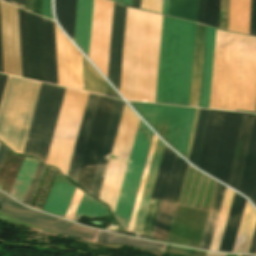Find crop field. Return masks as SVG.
<instances>
[{
	"instance_id": "crop-field-54",
	"label": "crop field",
	"mask_w": 256,
	"mask_h": 256,
	"mask_svg": "<svg viewBox=\"0 0 256 256\" xmlns=\"http://www.w3.org/2000/svg\"><path fill=\"white\" fill-rule=\"evenodd\" d=\"M114 1H117V2H119L121 4L126 5V6H131V1L132 0H114Z\"/></svg>"
},
{
	"instance_id": "crop-field-11",
	"label": "crop field",
	"mask_w": 256,
	"mask_h": 256,
	"mask_svg": "<svg viewBox=\"0 0 256 256\" xmlns=\"http://www.w3.org/2000/svg\"><path fill=\"white\" fill-rule=\"evenodd\" d=\"M113 3L94 0L89 58L106 77Z\"/></svg>"
},
{
	"instance_id": "crop-field-14",
	"label": "crop field",
	"mask_w": 256,
	"mask_h": 256,
	"mask_svg": "<svg viewBox=\"0 0 256 256\" xmlns=\"http://www.w3.org/2000/svg\"><path fill=\"white\" fill-rule=\"evenodd\" d=\"M30 78L46 82L42 18L26 11Z\"/></svg>"
},
{
	"instance_id": "crop-field-43",
	"label": "crop field",
	"mask_w": 256,
	"mask_h": 256,
	"mask_svg": "<svg viewBox=\"0 0 256 256\" xmlns=\"http://www.w3.org/2000/svg\"><path fill=\"white\" fill-rule=\"evenodd\" d=\"M42 0H33L32 12L41 16Z\"/></svg>"
},
{
	"instance_id": "crop-field-13",
	"label": "crop field",
	"mask_w": 256,
	"mask_h": 256,
	"mask_svg": "<svg viewBox=\"0 0 256 256\" xmlns=\"http://www.w3.org/2000/svg\"><path fill=\"white\" fill-rule=\"evenodd\" d=\"M188 164L176 156L154 239L167 242Z\"/></svg>"
},
{
	"instance_id": "crop-field-2",
	"label": "crop field",
	"mask_w": 256,
	"mask_h": 256,
	"mask_svg": "<svg viewBox=\"0 0 256 256\" xmlns=\"http://www.w3.org/2000/svg\"><path fill=\"white\" fill-rule=\"evenodd\" d=\"M195 29L163 16L155 102L188 105Z\"/></svg>"
},
{
	"instance_id": "crop-field-16",
	"label": "crop field",
	"mask_w": 256,
	"mask_h": 256,
	"mask_svg": "<svg viewBox=\"0 0 256 256\" xmlns=\"http://www.w3.org/2000/svg\"><path fill=\"white\" fill-rule=\"evenodd\" d=\"M175 156L176 154L172 150H170L167 146H165L164 154L162 157V161L160 164L159 172L157 175L156 183H155L151 201H150L154 203H159L151 236L154 235V231L156 228V224H157V220H158L161 206L163 203L164 195H165L170 174L172 171ZM154 203L149 204L148 212H147L143 230H142L143 234L150 235L151 233V229H152V225H153V221H154V217H155V213L158 205Z\"/></svg>"
},
{
	"instance_id": "crop-field-48",
	"label": "crop field",
	"mask_w": 256,
	"mask_h": 256,
	"mask_svg": "<svg viewBox=\"0 0 256 256\" xmlns=\"http://www.w3.org/2000/svg\"><path fill=\"white\" fill-rule=\"evenodd\" d=\"M6 75H2L0 74V99H1V96H2V92H3V88H4V85H5V81H6Z\"/></svg>"
},
{
	"instance_id": "crop-field-31",
	"label": "crop field",
	"mask_w": 256,
	"mask_h": 256,
	"mask_svg": "<svg viewBox=\"0 0 256 256\" xmlns=\"http://www.w3.org/2000/svg\"><path fill=\"white\" fill-rule=\"evenodd\" d=\"M96 242L126 244V245H132V246H137L141 248L156 250L162 253L165 252L168 246L164 244L149 243V242H145V241H141L133 238L112 235L102 231H100Z\"/></svg>"
},
{
	"instance_id": "crop-field-6",
	"label": "crop field",
	"mask_w": 256,
	"mask_h": 256,
	"mask_svg": "<svg viewBox=\"0 0 256 256\" xmlns=\"http://www.w3.org/2000/svg\"><path fill=\"white\" fill-rule=\"evenodd\" d=\"M129 103L171 147L186 156L196 109Z\"/></svg>"
},
{
	"instance_id": "crop-field-38",
	"label": "crop field",
	"mask_w": 256,
	"mask_h": 256,
	"mask_svg": "<svg viewBox=\"0 0 256 256\" xmlns=\"http://www.w3.org/2000/svg\"><path fill=\"white\" fill-rule=\"evenodd\" d=\"M156 139H157V137L155 135H153V139H152V142H151L150 150H149V153H148V157H147V160H146V164H145V167H144L143 175H142V178H141V182H140V185H139L138 193H137V196H136V200H135V203H134V207H133L131 218H130L129 225H128V230H131V231L133 230L135 218H136L138 207H139V203H140V200H141V196H142L144 184H145V181H146L148 169H149V166H150L152 154H153V151H154Z\"/></svg>"
},
{
	"instance_id": "crop-field-21",
	"label": "crop field",
	"mask_w": 256,
	"mask_h": 256,
	"mask_svg": "<svg viewBox=\"0 0 256 256\" xmlns=\"http://www.w3.org/2000/svg\"><path fill=\"white\" fill-rule=\"evenodd\" d=\"M239 192L247 196L256 206V117Z\"/></svg>"
},
{
	"instance_id": "crop-field-23",
	"label": "crop field",
	"mask_w": 256,
	"mask_h": 256,
	"mask_svg": "<svg viewBox=\"0 0 256 256\" xmlns=\"http://www.w3.org/2000/svg\"><path fill=\"white\" fill-rule=\"evenodd\" d=\"M246 200L234 193L219 251L232 252Z\"/></svg>"
},
{
	"instance_id": "crop-field-42",
	"label": "crop field",
	"mask_w": 256,
	"mask_h": 256,
	"mask_svg": "<svg viewBox=\"0 0 256 256\" xmlns=\"http://www.w3.org/2000/svg\"><path fill=\"white\" fill-rule=\"evenodd\" d=\"M42 16L52 20L50 15V0H43Z\"/></svg>"
},
{
	"instance_id": "crop-field-41",
	"label": "crop field",
	"mask_w": 256,
	"mask_h": 256,
	"mask_svg": "<svg viewBox=\"0 0 256 256\" xmlns=\"http://www.w3.org/2000/svg\"><path fill=\"white\" fill-rule=\"evenodd\" d=\"M249 34L256 35V0L251 1Z\"/></svg>"
},
{
	"instance_id": "crop-field-56",
	"label": "crop field",
	"mask_w": 256,
	"mask_h": 256,
	"mask_svg": "<svg viewBox=\"0 0 256 256\" xmlns=\"http://www.w3.org/2000/svg\"><path fill=\"white\" fill-rule=\"evenodd\" d=\"M237 111H241V110H237ZM241 112H251V111H241ZM251 113H255V112H251Z\"/></svg>"
},
{
	"instance_id": "crop-field-58",
	"label": "crop field",
	"mask_w": 256,
	"mask_h": 256,
	"mask_svg": "<svg viewBox=\"0 0 256 256\" xmlns=\"http://www.w3.org/2000/svg\"><path fill=\"white\" fill-rule=\"evenodd\" d=\"M3 1V0H2Z\"/></svg>"
},
{
	"instance_id": "crop-field-55",
	"label": "crop field",
	"mask_w": 256,
	"mask_h": 256,
	"mask_svg": "<svg viewBox=\"0 0 256 256\" xmlns=\"http://www.w3.org/2000/svg\"><path fill=\"white\" fill-rule=\"evenodd\" d=\"M141 0H133L132 6L140 8Z\"/></svg>"
},
{
	"instance_id": "crop-field-34",
	"label": "crop field",
	"mask_w": 256,
	"mask_h": 256,
	"mask_svg": "<svg viewBox=\"0 0 256 256\" xmlns=\"http://www.w3.org/2000/svg\"><path fill=\"white\" fill-rule=\"evenodd\" d=\"M209 110L200 109L189 161L198 165Z\"/></svg>"
},
{
	"instance_id": "crop-field-4",
	"label": "crop field",
	"mask_w": 256,
	"mask_h": 256,
	"mask_svg": "<svg viewBox=\"0 0 256 256\" xmlns=\"http://www.w3.org/2000/svg\"><path fill=\"white\" fill-rule=\"evenodd\" d=\"M242 113L210 110L198 168L228 183Z\"/></svg>"
},
{
	"instance_id": "crop-field-10",
	"label": "crop field",
	"mask_w": 256,
	"mask_h": 256,
	"mask_svg": "<svg viewBox=\"0 0 256 256\" xmlns=\"http://www.w3.org/2000/svg\"><path fill=\"white\" fill-rule=\"evenodd\" d=\"M0 210L9 216H12L25 223L34 224L59 234H64L80 239L82 237L92 239L93 233L95 231L40 212L24 208L2 193H0Z\"/></svg>"
},
{
	"instance_id": "crop-field-51",
	"label": "crop field",
	"mask_w": 256,
	"mask_h": 256,
	"mask_svg": "<svg viewBox=\"0 0 256 256\" xmlns=\"http://www.w3.org/2000/svg\"><path fill=\"white\" fill-rule=\"evenodd\" d=\"M6 151H7V149L5 147H3L2 145H0V165L2 163V160L4 158Z\"/></svg>"
},
{
	"instance_id": "crop-field-15",
	"label": "crop field",
	"mask_w": 256,
	"mask_h": 256,
	"mask_svg": "<svg viewBox=\"0 0 256 256\" xmlns=\"http://www.w3.org/2000/svg\"><path fill=\"white\" fill-rule=\"evenodd\" d=\"M126 8L114 3L107 79L119 91Z\"/></svg>"
},
{
	"instance_id": "crop-field-19",
	"label": "crop field",
	"mask_w": 256,
	"mask_h": 256,
	"mask_svg": "<svg viewBox=\"0 0 256 256\" xmlns=\"http://www.w3.org/2000/svg\"><path fill=\"white\" fill-rule=\"evenodd\" d=\"M98 97L99 96L97 95H91V94L88 95L86 107L84 110L83 118L81 121L79 133L77 136L75 148L73 151L72 159H71L68 174H67V176L72 178L73 180H76V176H77L79 165L83 155L84 147L86 144V140L90 130L96 104L98 101Z\"/></svg>"
},
{
	"instance_id": "crop-field-37",
	"label": "crop field",
	"mask_w": 256,
	"mask_h": 256,
	"mask_svg": "<svg viewBox=\"0 0 256 256\" xmlns=\"http://www.w3.org/2000/svg\"><path fill=\"white\" fill-rule=\"evenodd\" d=\"M22 77L29 78L25 11L18 8Z\"/></svg>"
},
{
	"instance_id": "crop-field-30",
	"label": "crop field",
	"mask_w": 256,
	"mask_h": 256,
	"mask_svg": "<svg viewBox=\"0 0 256 256\" xmlns=\"http://www.w3.org/2000/svg\"><path fill=\"white\" fill-rule=\"evenodd\" d=\"M38 161L25 158L10 195L22 201Z\"/></svg>"
},
{
	"instance_id": "crop-field-32",
	"label": "crop field",
	"mask_w": 256,
	"mask_h": 256,
	"mask_svg": "<svg viewBox=\"0 0 256 256\" xmlns=\"http://www.w3.org/2000/svg\"><path fill=\"white\" fill-rule=\"evenodd\" d=\"M84 90L106 95L105 80L82 56Z\"/></svg>"
},
{
	"instance_id": "crop-field-22",
	"label": "crop field",
	"mask_w": 256,
	"mask_h": 256,
	"mask_svg": "<svg viewBox=\"0 0 256 256\" xmlns=\"http://www.w3.org/2000/svg\"><path fill=\"white\" fill-rule=\"evenodd\" d=\"M93 0H77L74 42L88 56Z\"/></svg>"
},
{
	"instance_id": "crop-field-25",
	"label": "crop field",
	"mask_w": 256,
	"mask_h": 256,
	"mask_svg": "<svg viewBox=\"0 0 256 256\" xmlns=\"http://www.w3.org/2000/svg\"><path fill=\"white\" fill-rule=\"evenodd\" d=\"M205 26L197 24L189 106L198 107Z\"/></svg>"
},
{
	"instance_id": "crop-field-46",
	"label": "crop field",
	"mask_w": 256,
	"mask_h": 256,
	"mask_svg": "<svg viewBox=\"0 0 256 256\" xmlns=\"http://www.w3.org/2000/svg\"><path fill=\"white\" fill-rule=\"evenodd\" d=\"M203 7H204V0H199V9H198V17H197V21L199 22H202Z\"/></svg>"
},
{
	"instance_id": "crop-field-40",
	"label": "crop field",
	"mask_w": 256,
	"mask_h": 256,
	"mask_svg": "<svg viewBox=\"0 0 256 256\" xmlns=\"http://www.w3.org/2000/svg\"><path fill=\"white\" fill-rule=\"evenodd\" d=\"M42 166H43V164L38 163L37 168H36V170H35V172H34V175H33V177H32V180H31V182H30V184H29V187H28V189H27V192H26V194H25V196H24V199H23V201H22V202L25 203V204H28V202H29V199H30V197H31L32 191H33V189H34V186H35V184H36V181H37V179H38V176H39V173H40V171H41Z\"/></svg>"
},
{
	"instance_id": "crop-field-57",
	"label": "crop field",
	"mask_w": 256,
	"mask_h": 256,
	"mask_svg": "<svg viewBox=\"0 0 256 256\" xmlns=\"http://www.w3.org/2000/svg\"><path fill=\"white\" fill-rule=\"evenodd\" d=\"M5 2H9L10 3V0H4Z\"/></svg>"
},
{
	"instance_id": "crop-field-20",
	"label": "crop field",
	"mask_w": 256,
	"mask_h": 256,
	"mask_svg": "<svg viewBox=\"0 0 256 256\" xmlns=\"http://www.w3.org/2000/svg\"><path fill=\"white\" fill-rule=\"evenodd\" d=\"M76 187L58 173L43 210L65 216Z\"/></svg>"
},
{
	"instance_id": "crop-field-45",
	"label": "crop field",
	"mask_w": 256,
	"mask_h": 256,
	"mask_svg": "<svg viewBox=\"0 0 256 256\" xmlns=\"http://www.w3.org/2000/svg\"><path fill=\"white\" fill-rule=\"evenodd\" d=\"M198 111H199V109H197V111H196L195 120H194V124H193V129H192V134H191V138H190V143H189V147H188V152H187L186 159L189 158V153H190V149H191L193 134H194L195 125H196V120H197V116H198Z\"/></svg>"
},
{
	"instance_id": "crop-field-35",
	"label": "crop field",
	"mask_w": 256,
	"mask_h": 256,
	"mask_svg": "<svg viewBox=\"0 0 256 256\" xmlns=\"http://www.w3.org/2000/svg\"><path fill=\"white\" fill-rule=\"evenodd\" d=\"M256 223V211L248 204L243 228L236 252L247 253Z\"/></svg>"
},
{
	"instance_id": "crop-field-3",
	"label": "crop field",
	"mask_w": 256,
	"mask_h": 256,
	"mask_svg": "<svg viewBox=\"0 0 256 256\" xmlns=\"http://www.w3.org/2000/svg\"><path fill=\"white\" fill-rule=\"evenodd\" d=\"M40 84L7 77L0 103V140L15 153H22Z\"/></svg>"
},
{
	"instance_id": "crop-field-29",
	"label": "crop field",
	"mask_w": 256,
	"mask_h": 256,
	"mask_svg": "<svg viewBox=\"0 0 256 256\" xmlns=\"http://www.w3.org/2000/svg\"><path fill=\"white\" fill-rule=\"evenodd\" d=\"M76 0H55V15L62 29L73 40Z\"/></svg>"
},
{
	"instance_id": "crop-field-24",
	"label": "crop field",
	"mask_w": 256,
	"mask_h": 256,
	"mask_svg": "<svg viewBox=\"0 0 256 256\" xmlns=\"http://www.w3.org/2000/svg\"><path fill=\"white\" fill-rule=\"evenodd\" d=\"M214 38H215V29L206 26L205 52H204L200 102H199V107H204V108H208V103H209V93H210V83H211L213 53H214Z\"/></svg>"
},
{
	"instance_id": "crop-field-44",
	"label": "crop field",
	"mask_w": 256,
	"mask_h": 256,
	"mask_svg": "<svg viewBox=\"0 0 256 256\" xmlns=\"http://www.w3.org/2000/svg\"><path fill=\"white\" fill-rule=\"evenodd\" d=\"M248 253H255L256 254V227H255V230H254L253 238H252L251 245H250Z\"/></svg>"
},
{
	"instance_id": "crop-field-39",
	"label": "crop field",
	"mask_w": 256,
	"mask_h": 256,
	"mask_svg": "<svg viewBox=\"0 0 256 256\" xmlns=\"http://www.w3.org/2000/svg\"><path fill=\"white\" fill-rule=\"evenodd\" d=\"M219 1L205 0L203 23L218 28Z\"/></svg>"
},
{
	"instance_id": "crop-field-36",
	"label": "crop field",
	"mask_w": 256,
	"mask_h": 256,
	"mask_svg": "<svg viewBox=\"0 0 256 256\" xmlns=\"http://www.w3.org/2000/svg\"><path fill=\"white\" fill-rule=\"evenodd\" d=\"M80 215H87L89 217L110 216L106 207L86 194H83L73 220L77 222Z\"/></svg>"
},
{
	"instance_id": "crop-field-49",
	"label": "crop field",
	"mask_w": 256,
	"mask_h": 256,
	"mask_svg": "<svg viewBox=\"0 0 256 256\" xmlns=\"http://www.w3.org/2000/svg\"><path fill=\"white\" fill-rule=\"evenodd\" d=\"M0 72L3 73V64H2V46H1V28H0Z\"/></svg>"
},
{
	"instance_id": "crop-field-5",
	"label": "crop field",
	"mask_w": 256,
	"mask_h": 256,
	"mask_svg": "<svg viewBox=\"0 0 256 256\" xmlns=\"http://www.w3.org/2000/svg\"><path fill=\"white\" fill-rule=\"evenodd\" d=\"M65 89L41 84L22 154L46 162Z\"/></svg>"
},
{
	"instance_id": "crop-field-52",
	"label": "crop field",
	"mask_w": 256,
	"mask_h": 256,
	"mask_svg": "<svg viewBox=\"0 0 256 256\" xmlns=\"http://www.w3.org/2000/svg\"><path fill=\"white\" fill-rule=\"evenodd\" d=\"M167 6H168V0H163V9L162 13L167 15Z\"/></svg>"
},
{
	"instance_id": "crop-field-8",
	"label": "crop field",
	"mask_w": 256,
	"mask_h": 256,
	"mask_svg": "<svg viewBox=\"0 0 256 256\" xmlns=\"http://www.w3.org/2000/svg\"><path fill=\"white\" fill-rule=\"evenodd\" d=\"M153 133L139 121L114 215L127 228Z\"/></svg>"
},
{
	"instance_id": "crop-field-7",
	"label": "crop field",
	"mask_w": 256,
	"mask_h": 256,
	"mask_svg": "<svg viewBox=\"0 0 256 256\" xmlns=\"http://www.w3.org/2000/svg\"><path fill=\"white\" fill-rule=\"evenodd\" d=\"M87 95V93L66 89L46 162V164L57 166L64 175H66Z\"/></svg>"
},
{
	"instance_id": "crop-field-47",
	"label": "crop field",
	"mask_w": 256,
	"mask_h": 256,
	"mask_svg": "<svg viewBox=\"0 0 256 256\" xmlns=\"http://www.w3.org/2000/svg\"><path fill=\"white\" fill-rule=\"evenodd\" d=\"M151 7H152V0H142V5H141L142 9L151 11Z\"/></svg>"
},
{
	"instance_id": "crop-field-33",
	"label": "crop field",
	"mask_w": 256,
	"mask_h": 256,
	"mask_svg": "<svg viewBox=\"0 0 256 256\" xmlns=\"http://www.w3.org/2000/svg\"><path fill=\"white\" fill-rule=\"evenodd\" d=\"M198 0H169L168 15L196 21Z\"/></svg>"
},
{
	"instance_id": "crop-field-26",
	"label": "crop field",
	"mask_w": 256,
	"mask_h": 256,
	"mask_svg": "<svg viewBox=\"0 0 256 256\" xmlns=\"http://www.w3.org/2000/svg\"><path fill=\"white\" fill-rule=\"evenodd\" d=\"M225 189L226 187L222 186L219 183H216L214 195L212 198L211 206L209 209L207 221L205 224L204 232H203L200 247H199L201 249H207V250L210 249V245L213 238L218 215L220 212Z\"/></svg>"
},
{
	"instance_id": "crop-field-12",
	"label": "crop field",
	"mask_w": 256,
	"mask_h": 256,
	"mask_svg": "<svg viewBox=\"0 0 256 256\" xmlns=\"http://www.w3.org/2000/svg\"><path fill=\"white\" fill-rule=\"evenodd\" d=\"M4 73L21 77L17 8L0 1Z\"/></svg>"
},
{
	"instance_id": "crop-field-27",
	"label": "crop field",
	"mask_w": 256,
	"mask_h": 256,
	"mask_svg": "<svg viewBox=\"0 0 256 256\" xmlns=\"http://www.w3.org/2000/svg\"><path fill=\"white\" fill-rule=\"evenodd\" d=\"M251 0H230L228 30L248 34Z\"/></svg>"
},
{
	"instance_id": "crop-field-50",
	"label": "crop field",
	"mask_w": 256,
	"mask_h": 256,
	"mask_svg": "<svg viewBox=\"0 0 256 256\" xmlns=\"http://www.w3.org/2000/svg\"><path fill=\"white\" fill-rule=\"evenodd\" d=\"M11 3L24 9V0H11Z\"/></svg>"
},
{
	"instance_id": "crop-field-17",
	"label": "crop field",
	"mask_w": 256,
	"mask_h": 256,
	"mask_svg": "<svg viewBox=\"0 0 256 256\" xmlns=\"http://www.w3.org/2000/svg\"><path fill=\"white\" fill-rule=\"evenodd\" d=\"M125 103L116 99L90 195L99 198Z\"/></svg>"
},
{
	"instance_id": "crop-field-1",
	"label": "crop field",
	"mask_w": 256,
	"mask_h": 256,
	"mask_svg": "<svg viewBox=\"0 0 256 256\" xmlns=\"http://www.w3.org/2000/svg\"><path fill=\"white\" fill-rule=\"evenodd\" d=\"M162 16L127 8L120 93L154 102Z\"/></svg>"
},
{
	"instance_id": "crop-field-9",
	"label": "crop field",
	"mask_w": 256,
	"mask_h": 256,
	"mask_svg": "<svg viewBox=\"0 0 256 256\" xmlns=\"http://www.w3.org/2000/svg\"><path fill=\"white\" fill-rule=\"evenodd\" d=\"M115 99L99 97L76 182L90 193Z\"/></svg>"
},
{
	"instance_id": "crop-field-53",
	"label": "crop field",
	"mask_w": 256,
	"mask_h": 256,
	"mask_svg": "<svg viewBox=\"0 0 256 256\" xmlns=\"http://www.w3.org/2000/svg\"><path fill=\"white\" fill-rule=\"evenodd\" d=\"M32 0H25V9L31 12Z\"/></svg>"
},
{
	"instance_id": "crop-field-28",
	"label": "crop field",
	"mask_w": 256,
	"mask_h": 256,
	"mask_svg": "<svg viewBox=\"0 0 256 256\" xmlns=\"http://www.w3.org/2000/svg\"><path fill=\"white\" fill-rule=\"evenodd\" d=\"M47 82L57 85L54 23L43 18Z\"/></svg>"
},
{
	"instance_id": "crop-field-18",
	"label": "crop field",
	"mask_w": 256,
	"mask_h": 256,
	"mask_svg": "<svg viewBox=\"0 0 256 256\" xmlns=\"http://www.w3.org/2000/svg\"><path fill=\"white\" fill-rule=\"evenodd\" d=\"M255 115L243 113L228 186L238 190Z\"/></svg>"
}]
</instances>
